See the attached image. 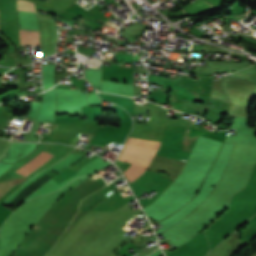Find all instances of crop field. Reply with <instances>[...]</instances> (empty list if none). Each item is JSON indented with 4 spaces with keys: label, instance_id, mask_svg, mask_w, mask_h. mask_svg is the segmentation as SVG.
I'll return each mask as SVG.
<instances>
[{
    "label": "crop field",
    "instance_id": "4",
    "mask_svg": "<svg viewBox=\"0 0 256 256\" xmlns=\"http://www.w3.org/2000/svg\"><path fill=\"white\" fill-rule=\"evenodd\" d=\"M17 4H18V10L36 12L33 2L26 1V0H17Z\"/></svg>",
    "mask_w": 256,
    "mask_h": 256
},
{
    "label": "crop field",
    "instance_id": "3",
    "mask_svg": "<svg viewBox=\"0 0 256 256\" xmlns=\"http://www.w3.org/2000/svg\"><path fill=\"white\" fill-rule=\"evenodd\" d=\"M21 45H35L39 44L38 29H26L19 32Z\"/></svg>",
    "mask_w": 256,
    "mask_h": 256
},
{
    "label": "crop field",
    "instance_id": "1",
    "mask_svg": "<svg viewBox=\"0 0 256 256\" xmlns=\"http://www.w3.org/2000/svg\"><path fill=\"white\" fill-rule=\"evenodd\" d=\"M159 142H152V141H143L138 139L130 138L128 139L125 148L126 150L144 152L153 154L155 150H157ZM123 150L119 160L125 161L130 164L139 165L146 167L147 164L150 162L152 155L126 151ZM131 165L128 170H126L124 175L127 177L129 181H132L136 178L145 168L138 167Z\"/></svg>",
    "mask_w": 256,
    "mask_h": 256
},
{
    "label": "crop field",
    "instance_id": "2",
    "mask_svg": "<svg viewBox=\"0 0 256 256\" xmlns=\"http://www.w3.org/2000/svg\"><path fill=\"white\" fill-rule=\"evenodd\" d=\"M53 155L46 153L42 151L40 154H38L35 158L27 162L25 165L20 167L16 172L26 176L29 173H31L33 170L41 166L43 163H45L47 160H49Z\"/></svg>",
    "mask_w": 256,
    "mask_h": 256
}]
</instances>
